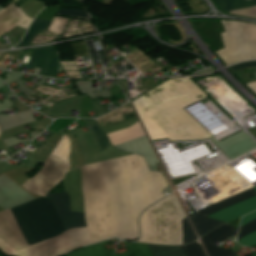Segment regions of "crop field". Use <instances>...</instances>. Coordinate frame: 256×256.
Returning a JSON list of instances; mask_svg holds the SVG:
<instances>
[{
	"label": "crop field",
	"instance_id": "obj_1",
	"mask_svg": "<svg viewBox=\"0 0 256 256\" xmlns=\"http://www.w3.org/2000/svg\"><path fill=\"white\" fill-rule=\"evenodd\" d=\"M86 227L48 239V255L59 256L110 237L135 240L137 217L162 198V173L149 172L140 156L131 155L81 167Z\"/></svg>",
	"mask_w": 256,
	"mask_h": 256
},
{
	"label": "crop field",
	"instance_id": "obj_2",
	"mask_svg": "<svg viewBox=\"0 0 256 256\" xmlns=\"http://www.w3.org/2000/svg\"><path fill=\"white\" fill-rule=\"evenodd\" d=\"M206 97L188 78L170 79L132 104L151 141L210 135L182 108Z\"/></svg>",
	"mask_w": 256,
	"mask_h": 256
},
{
	"label": "crop field",
	"instance_id": "obj_3",
	"mask_svg": "<svg viewBox=\"0 0 256 256\" xmlns=\"http://www.w3.org/2000/svg\"><path fill=\"white\" fill-rule=\"evenodd\" d=\"M185 215L173 193L142 212L137 242L181 245V220Z\"/></svg>",
	"mask_w": 256,
	"mask_h": 256
},
{
	"label": "crop field",
	"instance_id": "obj_4",
	"mask_svg": "<svg viewBox=\"0 0 256 256\" xmlns=\"http://www.w3.org/2000/svg\"><path fill=\"white\" fill-rule=\"evenodd\" d=\"M9 210L27 246L55 237L65 230L48 199H36Z\"/></svg>",
	"mask_w": 256,
	"mask_h": 256
},
{
	"label": "crop field",
	"instance_id": "obj_5",
	"mask_svg": "<svg viewBox=\"0 0 256 256\" xmlns=\"http://www.w3.org/2000/svg\"><path fill=\"white\" fill-rule=\"evenodd\" d=\"M225 33H220L224 48L216 51L226 63L250 59V52L243 22L220 20Z\"/></svg>",
	"mask_w": 256,
	"mask_h": 256
},
{
	"label": "crop field",
	"instance_id": "obj_6",
	"mask_svg": "<svg viewBox=\"0 0 256 256\" xmlns=\"http://www.w3.org/2000/svg\"><path fill=\"white\" fill-rule=\"evenodd\" d=\"M128 253L116 255L104 246L107 241L93 244L76 250L66 256H152L146 244L125 243ZM153 256H185L181 246H151L148 245Z\"/></svg>",
	"mask_w": 256,
	"mask_h": 256
},
{
	"label": "crop field",
	"instance_id": "obj_7",
	"mask_svg": "<svg viewBox=\"0 0 256 256\" xmlns=\"http://www.w3.org/2000/svg\"><path fill=\"white\" fill-rule=\"evenodd\" d=\"M46 198L51 199L65 229L85 226L83 213L70 212L69 196L65 192L54 195L48 193Z\"/></svg>",
	"mask_w": 256,
	"mask_h": 256
},
{
	"label": "crop field",
	"instance_id": "obj_8",
	"mask_svg": "<svg viewBox=\"0 0 256 256\" xmlns=\"http://www.w3.org/2000/svg\"><path fill=\"white\" fill-rule=\"evenodd\" d=\"M228 225L225 224L201 238L209 256H234L236 254L234 252L224 250L214 244L236 233V230Z\"/></svg>",
	"mask_w": 256,
	"mask_h": 256
},
{
	"label": "crop field",
	"instance_id": "obj_9",
	"mask_svg": "<svg viewBox=\"0 0 256 256\" xmlns=\"http://www.w3.org/2000/svg\"><path fill=\"white\" fill-rule=\"evenodd\" d=\"M31 19L12 3L0 10V36L18 25L27 29Z\"/></svg>",
	"mask_w": 256,
	"mask_h": 256
},
{
	"label": "crop field",
	"instance_id": "obj_10",
	"mask_svg": "<svg viewBox=\"0 0 256 256\" xmlns=\"http://www.w3.org/2000/svg\"><path fill=\"white\" fill-rule=\"evenodd\" d=\"M50 47L51 46L35 49L33 52L32 58L30 60V63L28 65V66H32V67L41 68L40 73H39L40 75H42V73H43L47 58L49 56ZM56 60H57V58H56L55 51H54L53 47H51L50 56L47 61L43 75L56 77V70L58 68V64H57Z\"/></svg>",
	"mask_w": 256,
	"mask_h": 256
},
{
	"label": "crop field",
	"instance_id": "obj_11",
	"mask_svg": "<svg viewBox=\"0 0 256 256\" xmlns=\"http://www.w3.org/2000/svg\"><path fill=\"white\" fill-rule=\"evenodd\" d=\"M256 191V186L253 187ZM256 210V196L239 204L230 206L226 209H223L217 213H214L208 217H212L218 220L228 222L234 218L242 216L244 214L250 213Z\"/></svg>",
	"mask_w": 256,
	"mask_h": 256
},
{
	"label": "crop field",
	"instance_id": "obj_12",
	"mask_svg": "<svg viewBox=\"0 0 256 256\" xmlns=\"http://www.w3.org/2000/svg\"><path fill=\"white\" fill-rule=\"evenodd\" d=\"M0 251L8 256H47L46 240L15 251L0 238Z\"/></svg>",
	"mask_w": 256,
	"mask_h": 256
},
{
	"label": "crop field",
	"instance_id": "obj_13",
	"mask_svg": "<svg viewBox=\"0 0 256 256\" xmlns=\"http://www.w3.org/2000/svg\"><path fill=\"white\" fill-rule=\"evenodd\" d=\"M255 195H256V192L252 188H250V189L245 190L241 193H238V194L233 195L229 198H226L222 201H219V202H217L213 205H210V206L196 212V214L207 216V215L212 214L214 212H217V211H219V210H221V209H223L227 206H230L232 204H235L237 202H240L242 200H245V199L250 198V197L255 196Z\"/></svg>",
	"mask_w": 256,
	"mask_h": 256
},
{
	"label": "crop field",
	"instance_id": "obj_14",
	"mask_svg": "<svg viewBox=\"0 0 256 256\" xmlns=\"http://www.w3.org/2000/svg\"><path fill=\"white\" fill-rule=\"evenodd\" d=\"M113 146L144 136V133L137 121L136 124L110 134H107Z\"/></svg>",
	"mask_w": 256,
	"mask_h": 256
},
{
	"label": "crop field",
	"instance_id": "obj_15",
	"mask_svg": "<svg viewBox=\"0 0 256 256\" xmlns=\"http://www.w3.org/2000/svg\"><path fill=\"white\" fill-rule=\"evenodd\" d=\"M199 237L208 233L212 229L223 224L222 222L214 221L211 219H207L201 216H197L194 214L189 215Z\"/></svg>",
	"mask_w": 256,
	"mask_h": 256
},
{
	"label": "crop field",
	"instance_id": "obj_16",
	"mask_svg": "<svg viewBox=\"0 0 256 256\" xmlns=\"http://www.w3.org/2000/svg\"><path fill=\"white\" fill-rule=\"evenodd\" d=\"M49 24H50L49 22L42 21V20H39V19L35 18L34 22L32 23V25L27 30L25 37L15 47L27 46L29 44V42L38 33L45 31L47 29V27L49 26ZM15 47H13V48H15Z\"/></svg>",
	"mask_w": 256,
	"mask_h": 256
},
{
	"label": "crop field",
	"instance_id": "obj_17",
	"mask_svg": "<svg viewBox=\"0 0 256 256\" xmlns=\"http://www.w3.org/2000/svg\"><path fill=\"white\" fill-rule=\"evenodd\" d=\"M224 11L255 6L256 0H214Z\"/></svg>",
	"mask_w": 256,
	"mask_h": 256
},
{
	"label": "crop field",
	"instance_id": "obj_18",
	"mask_svg": "<svg viewBox=\"0 0 256 256\" xmlns=\"http://www.w3.org/2000/svg\"><path fill=\"white\" fill-rule=\"evenodd\" d=\"M256 218V211L253 212V213H250L246 216H244L242 219H241V222H240V226L241 227L242 225L246 224L247 222L253 220ZM240 245L242 246H252L254 244H256V232L250 234V235H247L245 237H243L242 239H240L239 241H237Z\"/></svg>",
	"mask_w": 256,
	"mask_h": 256
},
{
	"label": "crop field",
	"instance_id": "obj_19",
	"mask_svg": "<svg viewBox=\"0 0 256 256\" xmlns=\"http://www.w3.org/2000/svg\"><path fill=\"white\" fill-rule=\"evenodd\" d=\"M182 231H183V240H182V245L190 243L197 239L187 217L182 220Z\"/></svg>",
	"mask_w": 256,
	"mask_h": 256
},
{
	"label": "crop field",
	"instance_id": "obj_20",
	"mask_svg": "<svg viewBox=\"0 0 256 256\" xmlns=\"http://www.w3.org/2000/svg\"><path fill=\"white\" fill-rule=\"evenodd\" d=\"M186 256H205L198 244L195 242L192 244H188L185 246H182Z\"/></svg>",
	"mask_w": 256,
	"mask_h": 256
},
{
	"label": "crop field",
	"instance_id": "obj_21",
	"mask_svg": "<svg viewBox=\"0 0 256 256\" xmlns=\"http://www.w3.org/2000/svg\"><path fill=\"white\" fill-rule=\"evenodd\" d=\"M73 121L74 120L72 119H57L47 130L53 132H61L64 127H66Z\"/></svg>",
	"mask_w": 256,
	"mask_h": 256
},
{
	"label": "crop field",
	"instance_id": "obj_22",
	"mask_svg": "<svg viewBox=\"0 0 256 256\" xmlns=\"http://www.w3.org/2000/svg\"><path fill=\"white\" fill-rule=\"evenodd\" d=\"M91 128L97 138V141H98L101 149L106 147L109 144V142L107 140V137L101 131L100 127L98 125H92Z\"/></svg>",
	"mask_w": 256,
	"mask_h": 256
},
{
	"label": "crop field",
	"instance_id": "obj_23",
	"mask_svg": "<svg viewBox=\"0 0 256 256\" xmlns=\"http://www.w3.org/2000/svg\"><path fill=\"white\" fill-rule=\"evenodd\" d=\"M253 231H256V220L239 228L237 240Z\"/></svg>",
	"mask_w": 256,
	"mask_h": 256
},
{
	"label": "crop field",
	"instance_id": "obj_24",
	"mask_svg": "<svg viewBox=\"0 0 256 256\" xmlns=\"http://www.w3.org/2000/svg\"><path fill=\"white\" fill-rule=\"evenodd\" d=\"M75 57L87 55V50L83 42L70 45Z\"/></svg>",
	"mask_w": 256,
	"mask_h": 256
},
{
	"label": "crop field",
	"instance_id": "obj_25",
	"mask_svg": "<svg viewBox=\"0 0 256 256\" xmlns=\"http://www.w3.org/2000/svg\"><path fill=\"white\" fill-rule=\"evenodd\" d=\"M57 14L86 18L83 11L79 9H63L60 10Z\"/></svg>",
	"mask_w": 256,
	"mask_h": 256
},
{
	"label": "crop field",
	"instance_id": "obj_26",
	"mask_svg": "<svg viewBox=\"0 0 256 256\" xmlns=\"http://www.w3.org/2000/svg\"><path fill=\"white\" fill-rule=\"evenodd\" d=\"M253 67H256V61L236 64V65L231 66L229 68L231 69L232 72H234V71H237V70H240V69L253 68Z\"/></svg>",
	"mask_w": 256,
	"mask_h": 256
},
{
	"label": "crop field",
	"instance_id": "obj_27",
	"mask_svg": "<svg viewBox=\"0 0 256 256\" xmlns=\"http://www.w3.org/2000/svg\"><path fill=\"white\" fill-rule=\"evenodd\" d=\"M250 90L256 94V82L245 84Z\"/></svg>",
	"mask_w": 256,
	"mask_h": 256
}]
</instances>
